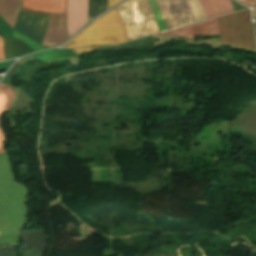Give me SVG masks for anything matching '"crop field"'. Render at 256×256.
<instances>
[{
    "label": "crop field",
    "mask_w": 256,
    "mask_h": 256,
    "mask_svg": "<svg viewBox=\"0 0 256 256\" xmlns=\"http://www.w3.org/2000/svg\"><path fill=\"white\" fill-rule=\"evenodd\" d=\"M87 24V0H67V29L69 36Z\"/></svg>",
    "instance_id": "crop-field-7"
},
{
    "label": "crop field",
    "mask_w": 256,
    "mask_h": 256,
    "mask_svg": "<svg viewBox=\"0 0 256 256\" xmlns=\"http://www.w3.org/2000/svg\"><path fill=\"white\" fill-rule=\"evenodd\" d=\"M74 52L78 55H82L84 54L85 52L87 51H90V50H98L97 48H92V49H73Z\"/></svg>",
    "instance_id": "crop-field-15"
},
{
    "label": "crop field",
    "mask_w": 256,
    "mask_h": 256,
    "mask_svg": "<svg viewBox=\"0 0 256 256\" xmlns=\"http://www.w3.org/2000/svg\"><path fill=\"white\" fill-rule=\"evenodd\" d=\"M68 39L65 29V14L51 13L46 35L42 45L53 47Z\"/></svg>",
    "instance_id": "crop-field-6"
},
{
    "label": "crop field",
    "mask_w": 256,
    "mask_h": 256,
    "mask_svg": "<svg viewBox=\"0 0 256 256\" xmlns=\"http://www.w3.org/2000/svg\"><path fill=\"white\" fill-rule=\"evenodd\" d=\"M161 34L162 36L175 34L179 37H184L192 41H195V36L198 35H219L216 18L175 30L162 32Z\"/></svg>",
    "instance_id": "crop-field-8"
},
{
    "label": "crop field",
    "mask_w": 256,
    "mask_h": 256,
    "mask_svg": "<svg viewBox=\"0 0 256 256\" xmlns=\"http://www.w3.org/2000/svg\"><path fill=\"white\" fill-rule=\"evenodd\" d=\"M4 60V55H3V39L0 38V61Z\"/></svg>",
    "instance_id": "crop-field-17"
},
{
    "label": "crop field",
    "mask_w": 256,
    "mask_h": 256,
    "mask_svg": "<svg viewBox=\"0 0 256 256\" xmlns=\"http://www.w3.org/2000/svg\"><path fill=\"white\" fill-rule=\"evenodd\" d=\"M206 18H213L234 12L230 0H200Z\"/></svg>",
    "instance_id": "crop-field-9"
},
{
    "label": "crop field",
    "mask_w": 256,
    "mask_h": 256,
    "mask_svg": "<svg viewBox=\"0 0 256 256\" xmlns=\"http://www.w3.org/2000/svg\"><path fill=\"white\" fill-rule=\"evenodd\" d=\"M166 29L205 20L199 0H156ZM155 0H150L159 31H165Z\"/></svg>",
    "instance_id": "crop-field-2"
},
{
    "label": "crop field",
    "mask_w": 256,
    "mask_h": 256,
    "mask_svg": "<svg viewBox=\"0 0 256 256\" xmlns=\"http://www.w3.org/2000/svg\"><path fill=\"white\" fill-rule=\"evenodd\" d=\"M152 37L153 36L143 38V40L152 38ZM98 49L102 51H113V50H122V49H132V50L146 49V50L154 51L155 46L152 38L144 41L140 39V40H136V41H132V42L116 45V46L102 47Z\"/></svg>",
    "instance_id": "crop-field-13"
},
{
    "label": "crop field",
    "mask_w": 256,
    "mask_h": 256,
    "mask_svg": "<svg viewBox=\"0 0 256 256\" xmlns=\"http://www.w3.org/2000/svg\"><path fill=\"white\" fill-rule=\"evenodd\" d=\"M21 0H0V17L13 27L19 13Z\"/></svg>",
    "instance_id": "crop-field-11"
},
{
    "label": "crop field",
    "mask_w": 256,
    "mask_h": 256,
    "mask_svg": "<svg viewBox=\"0 0 256 256\" xmlns=\"http://www.w3.org/2000/svg\"><path fill=\"white\" fill-rule=\"evenodd\" d=\"M15 98V91L12 87L0 84V115L9 110ZM4 137L0 128V153H4L2 143Z\"/></svg>",
    "instance_id": "crop-field-12"
},
{
    "label": "crop field",
    "mask_w": 256,
    "mask_h": 256,
    "mask_svg": "<svg viewBox=\"0 0 256 256\" xmlns=\"http://www.w3.org/2000/svg\"><path fill=\"white\" fill-rule=\"evenodd\" d=\"M105 10H107V0H88V22Z\"/></svg>",
    "instance_id": "crop-field-14"
},
{
    "label": "crop field",
    "mask_w": 256,
    "mask_h": 256,
    "mask_svg": "<svg viewBox=\"0 0 256 256\" xmlns=\"http://www.w3.org/2000/svg\"><path fill=\"white\" fill-rule=\"evenodd\" d=\"M121 1H123V0H108V8L118 4Z\"/></svg>",
    "instance_id": "crop-field-18"
},
{
    "label": "crop field",
    "mask_w": 256,
    "mask_h": 256,
    "mask_svg": "<svg viewBox=\"0 0 256 256\" xmlns=\"http://www.w3.org/2000/svg\"><path fill=\"white\" fill-rule=\"evenodd\" d=\"M117 9L128 39L159 32L148 0H130Z\"/></svg>",
    "instance_id": "crop-field-4"
},
{
    "label": "crop field",
    "mask_w": 256,
    "mask_h": 256,
    "mask_svg": "<svg viewBox=\"0 0 256 256\" xmlns=\"http://www.w3.org/2000/svg\"><path fill=\"white\" fill-rule=\"evenodd\" d=\"M217 20L222 45L256 53L249 9L218 17Z\"/></svg>",
    "instance_id": "crop-field-3"
},
{
    "label": "crop field",
    "mask_w": 256,
    "mask_h": 256,
    "mask_svg": "<svg viewBox=\"0 0 256 256\" xmlns=\"http://www.w3.org/2000/svg\"><path fill=\"white\" fill-rule=\"evenodd\" d=\"M48 19L49 17L29 15L20 12L14 29L29 36L40 44L46 32Z\"/></svg>",
    "instance_id": "crop-field-5"
},
{
    "label": "crop field",
    "mask_w": 256,
    "mask_h": 256,
    "mask_svg": "<svg viewBox=\"0 0 256 256\" xmlns=\"http://www.w3.org/2000/svg\"><path fill=\"white\" fill-rule=\"evenodd\" d=\"M239 1L246 5L256 6V0H239Z\"/></svg>",
    "instance_id": "crop-field-16"
},
{
    "label": "crop field",
    "mask_w": 256,
    "mask_h": 256,
    "mask_svg": "<svg viewBox=\"0 0 256 256\" xmlns=\"http://www.w3.org/2000/svg\"><path fill=\"white\" fill-rule=\"evenodd\" d=\"M5 62H0V68L4 67Z\"/></svg>",
    "instance_id": "crop-field-19"
},
{
    "label": "crop field",
    "mask_w": 256,
    "mask_h": 256,
    "mask_svg": "<svg viewBox=\"0 0 256 256\" xmlns=\"http://www.w3.org/2000/svg\"><path fill=\"white\" fill-rule=\"evenodd\" d=\"M66 0H23L21 7L46 11V12H64Z\"/></svg>",
    "instance_id": "crop-field-10"
},
{
    "label": "crop field",
    "mask_w": 256,
    "mask_h": 256,
    "mask_svg": "<svg viewBox=\"0 0 256 256\" xmlns=\"http://www.w3.org/2000/svg\"><path fill=\"white\" fill-rule=\"evenodd\" d=\"M127 41L117 9L101 16L63 47H89Z\"/></svg>",
    "instance_id": "crop-field-1"
}]
</instances>
